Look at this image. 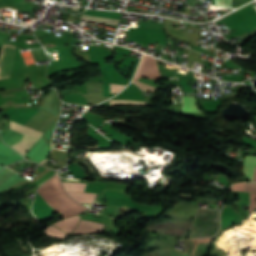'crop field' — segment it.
Wrapping results in <instances>:
<instances>
[{"label":"crop field","mask_w":256,"mask_h":256,"mask_svg":"<svg viewBox=\"0 0 256 256\" xmlns=\"http://www.w3.org/2000/svg\"><path fill=\"white\" fill-rule=\"evenodd\" d=\"M56 194L59 196L61 200H63L66 204H68L70 207L78 210L83 211L86 208L82 207L80 204L74 202L68 194L65 192L60 180L58 179L57 175L53 178L49 179ZM56 200L57 202L71 215H77L79 212L75 211L74 209L70 208L68 205H66L64 202H62L58 196L55 194L54 190L52 189L49 181L45 182L42 185ZM40 187L38 190V194L40 197L56 212H59L62 214L63 218L70 217V215L56 202V200L43 188Z\"/></svg>","instance_id":"1"},{"label":"crop field","mask_w":256,"mask_h":256,"mask_svg":"<svg viewBox=\"0 0 256 256\" xmlns=\"http://www.w3.org/2000/svg\"><path fill=\"white\" fill-rule=\"evenodd\" d=\"M10 128L35 140H38L42 136V133L22 126L20 124L14 123L12 121L10 123ZM26 136H24L19 142L11 146L23 155H25L28 150L37 142Z\"/></svg>","instance_id":"2"},{"label":"crop field","mask_w":256,"mask_h":256,"mask_svg":"<svg viewBox=\"0 0 256 256\" xmlns=\"http://www.w3.org/2000/svg\"><path fill=\"white\" fill-rule=\"evenodd\" d=\"M4 48H5V44H3L2 48H1L0 64H1L2 56H3ZM14 49H15L14 46H12L10 44H6V48L4 50V57H3L2 65H1V69H0V78L9 77L10 66H11V62H12V58H13V54H14Z\"/></svg>","instance_id":"3"},{"label":"crop field","mask_w":256,"mask_h":256,"mask_svg":"<svg viewBox=\"0 0 256 256\" xmlns=\"http://www.w3.org/2000/svg\"><path fill=\"white\" fill-rule=\"evenodd\" d=\"M140 77L160 79V72L154 58L146 57Z\"/></svg>","instance_id":"4"},{"label":"crop field","mask_w":256,"mask_h":256,"mask_svg":"<svg viewBox=\"0 0 256 256\" xmlns=\"http://www.w3.org/2000/svg\"><path fill=\"white\" fill-rule=\"evenodd\" d=\"M103 226H104L103 224L80 220L77 228L74 230L73 233L85 234V233H96L98 231L101 232Z\"/></svg>","instance_id":"5"},{"label":"crop field","mask_w":256,"mask_h":256,"mask_svg":"<svg viewBox=\"0 0 256 256\" xmlns=\"http://www.w3.org/2000/svg\"><path fill=\"white\" fill-rule=\"evenodd\" d=\"M69 194L81 203L91 204L97 194L69 192Z\"/></svg>","instance_id":"6"},{"label":"crop field","mask_w":256,"mask_h":256,"mask_svg":"<svg viewBox=\"0 0 256 256\" xmlns=\"http://www.w3.org/2000/svg\"><path fill=\"white\" fill-rule=\"evenodd\" d=\"M254 165H256V157L246 156L243 172L252 180Z\"/></svg>","instance_id":"7"},{"label":"crop field","mask_w":256,"mask_h":256,"mask_svg":"<svg viewBox=\"0 0 256 256\" xmlns=\"http://www.w3.org/2000/svg\"><path fill=\"white\" fill-rule=\"evenodd\" d=\"M182 99H183L182 111L200 112L196 106L195 97H182Z\"/></svg>","instance_id":"8"},{"label":"crop field","mask_w":256,"mask_h":256,"mask_svg":"<svg viewBox=\"0 0 256 256\" xmlns=\"http://www.w3.org/2000/svg\"><path fill=\"white\" fill-rule=\"evenodd\" d=\"M82 19L96 21V22H102V23L116 24V25H118V22H119V20L113 19V18L92 16V15H85V14H83Z\"/></svg>","instance_id":"9"},{"label":"crop field","mask_w":256,"mask_h":256,"mask_svg":"<svg viewBox=\"0 0 256 256\" xmlns=\"http://www.w3.org/2000/svg\"><path fill=\"white\" fill-rule=\"evenodd\" d=\"M75 178H87L83 169L75 163L66 166Z\"/></svg>","instance_id":"10"},{"label":"crop field","mask_w":256,"mask_h":256,"mask_svg":"<svg viewBox=\"0 0 256 256\" xmlns=\"http://www.w3.org/2000/svg\"><path fill=\"white\" fill-rule=\"evenodd\" d=\"M145 57H146V56L144 55V57H143V59H142V61H141V64H140V66H139V69H138V71H137V73H136V76H135L133 82L136 83L139 87H141V88L144 89V90L156 91L157 88L152 87V86H149V85H147V84H144V83H141V82L137 81L138 76H139V73H140L141 68H142V65H143V62H144V60H145Z\"/></svg>","instance_id":"11"},{"label":"crop field","mask_w":256,"mask_h":256,"mask_svg":"<svg viewBox=\"0 0 256 256\" xmlns=\"http://www.w3.org/2000/svg\"><path fill=\"white\" fill-rule=\"evenodd\" d=\"M117 105H142L147 106L146 102L133 101V100H111V106Z\"/></svg>","instance_id":"12"},{"label":"crop field","mask_w":256,"mask_h":256,"mask_svg":"<svg viewBox=\"0 0 256 256\" xmlns=\"http://www.w3.org/2000/svg\"><path fill=\"white\" fill-rule=\"evenodd\" d=\"M66 191H83L86 184L81 183H63Z\"/></svg>","instance_id":"13"},{"label":"crop field","mask_w":256,"mask_h":256,"mask_svg":"<svg viewBox=\"0 0 256 256\" xmlns=\"http://www.w3.org/2000/svg\"><path fill=\"white\" fill-rule=\"evenodd\" d=\"M14 173H16V172H14L8 168L4 169L2 172H0V183L2 181H4L5 179H7L8 177H10L11 175H13Z\"/></svg>","instance_id":"14"},{"label":"crop field","mask_w":256,"mask_h":256,"mask_svg":"<svg viewBox=\"0 0 256 256\" xmlns=\"http://www.w3.org/2000/svg\"><path fill=\"white\" fill-rule=\"evenodd\" d=\"M215 5L222 7H232V0H215Z\"/></svg>","instance_id":"15"},{"label":"crop field","mask_w":256,"mask_h":256,"mask_svg":"<svg viewBox=\"0 0 256 256\" xmlns=\"http://www.w3.org/2000/svg\"><path fill=\"white\" fill-rule=\"evenodd\" d=\"M256 206V194L250 193V205H249V213Z\"/></svg>","instance_id":"16"},{"label":"crop field","mask_w":256,"mask_h":256,"mask_svg":"<svg viewBox=\"0 0 256 256\" xmlns=\"http://www.w3.org/2000/svg\"><path fill=\"white\" fill-rule=\"evenodd\" d=\"M124 86L116 85V84H110L111 93H118L120 90H122Z\"/></svg>","instance_id":"17"},{"label":"crop field","mask_w":256,"mask_h":256,"mask_svg":"<svg viewBox=\"0 0 256 256\" xmlns=\"http://www.w3.org/2000/svg\"><path fill=\"white\" fill-rule=\"evenodd\" d=\"M246 183H237L232 186V190L244 191Z\"/></svg>","instance_id":"18"},{"label":"crop field","mask_w":256,"mask_h":256,"mask_svg":"<svg viewBox=\"0 0 256 256\" xmlns=\"http://www.w3.org/2000/svg\"><path fill=\"white\" fill-rule=\"evenodd\" d=\"M245 191L256 192V184L247 183Z\"/></svg>","instance_id":"19"},{"label":"crop field","mask_w":256,"mask_h":256,"mask_svg":"<svg viewBox=\"0 0 256 256\" xmlns=\"http://www.w3.org/2000/svg\"><path fill=\"white\" fill-rule=\"evenodd\" d=\"M252 181H256V166H255L254 176H253V180Z\"/></svg>","instance_id":"20"},{"label":"crop field","mask_w":256,"mask_h":256,"mask_svg":"<svg viewBox=\"0 0 256 256\" xmlns=\"http://www.w3.org/2000/svg\"><path fill=\"white\" fill-rule=\"evenodd\" d=\"M3 168H5V167H0V170L3 169Z\"/></svg>","instance_id":"21"}]
</instances>
